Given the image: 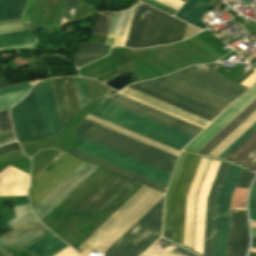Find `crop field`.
I'll return each mask as SVG.
<instances>
[{"instance_id": "obj_1", "label": "crop field", "mask_w": 256, "mask_h": 256, "mask_svg": "<svg viewBox=\"0 0 256 256\" xmlns=\"http://www.w3.org/2000/svg\"><path fill=\"white\" fill-rule=\"evenodd\" d=\"M139 187L99 168L42 223L75 248Z\"/></svg>"}, {"instance_id": "obj_2", "label": "crop field", "mask_w": 256, "mask_h": 256, "mask_svg": "<svg viewBox=\"0 0 256 256\" xmlns=\"http://www.w3.org/2000/svg\"><path fill=\"white\" fill-rule=\"evenodd\" d=\"M164 195L141 187L79 247L105 252ZM164 197L133 225L104 256H139L161 235Z\"/></svg>"}, {"instance_id": "obj_3", "label": "crop field", "mask_w": 256, "mask_h": 256, "mask_svg": "<svg viewBox=\"0 0 256 256\" xmlns=\"http://www.w3.org/2000/svg\"><path fill=\"white\" fill-rule=\"evenodd\" d=\"M105 101L115 104L119 107L147 117L151 120L179 130L183 133L195 137L202 129L166 115L155 109L123 97L119 94L105 99ZM102 101L92 112L96 116L149 136L162 143L177 149L183 147L193 139V137L183 134L179 131L151 121L147 118L119 108L115 105Z\"/></svg>"}, {"instance_id": "obj_4", "label": "crop field", "mask_w": 256, "mask_h": 256, "mask_svg": "<svg viewBox=\"0 0 256 256\" xmlns=\"http://www.w3.org/2000/svg\"><path fill=\"white\" fill-rule=\"evenodd\" d=\"M74 134L172 173L177 156L84 119Z\"/></svg>"}, {"instance_id": "obj_5", "label": "crop field", "mask_w": 256, "mask_h": 256, "mask_svg": "<svg viewBox=\"0 0 256 256\" xmlns=\"http://www.w3.org/2000/svg\"><path fill=\"white\" fill-rule=\"evenodd\" d=\"M186 25L172 16L139 2L136 5L125 46L146 48L180 41L183 39Z\"/></svg>"}, {"instance_id": "obj_6", "label": "crop field", "mask_w": 256, "mask_h": 256, "mask_svg": "<svg viewBox=\"0 0 256 256\" xmlns=\"http://www.w3.org/2000/svg\"><path fill=\"white\" fill-rule=\"evenodd\" d=\"M201 156L184 152L168 192L165 228L172 229L171 239L182 244L186 194Z\"/></svg>"}, {"instance_id": "obj_7", "label": "crop field", "mask_w": 256, "mask_h": 256, "mask_svg": "<svg viewBox=\"0 0 256 256\" xmlns=\"http://www.w3.org/2000/svg\"><path fill=\"white\" fill-rule=\"evenodd\" d=\"M255 96L256 85L253 86L242 98H240L230 109H228L217 121H215L186 149L195 151L197 148H199ZM255 110L256 97L253 98L242 110H240L230 121H228L217 133H215L195 152L208 154Z\"/></svg>"}, {"instance_id": "obj_8", "label": "crop field", "mask_w": 256, "mask_h": 256, "mask_svg": "<svg viewBox=\"0 0 256 256\" xmlns=\"http://www.w3.org/2000/svg\"><path fill=\"white\" fill-rule=\"evenodd\" d=\"M82 161L60 152L31 179L28 195L34 209L46 198Z\"/></svg>"}, {"instance_id": "obj_9", "label": "crop field", "mask_w": 256, "mask_h": 256, "mask_svg": "<svg viewBox=\"0 0 256 256\" xmlns=\"http://www.w3.org/2000/svg\"><path fill=\"white\" fill-rule=\"evenodd\" d=\"M75 149L167 186L172 175L81 138Z\"/></svg>"}, {"instance_id": "obj_10", "label": "crop field", "mask_w": 256, "mask_h": 256, "mask_svg": "<svg viewBox=\"0 0 256 256\" xmlns=\"http://www.w3.org/2000/svg\"><path fill=\"white\" fill-rule=\"evenodd\" d=\"M11 111L20 141L47 137L34 87Z\"/></svg>"}, {"instance_id": "obj_11", "label": "crop field", "mask_w": 256, "mask_h": 256, "mask_svg": "<svg viewBox=\"0 0 256 256\" xmlns=\"http://www.w3.org/2000/svg\"><path fill=\"white\" fill-rule=\"evenodd\" d=\"M170 75L223 96L232 101L237 99L248 88L238 85L230 80H226L222 78L221 75L204 69L200 66H191Z\"/></svg>"}, {"instance_id": "obj_12", "label": "crop field", "mask_w": 256, "mask_h": 256, "mask_svg": "<svg viewBox=\"0 0 256 256\" xmlns=\"http://www.w3.org/2000/svg\"><path fill=\"white\" fill-rule=\"evenodd\" d=\"M241 169V167L230 164L225 181L218 197L213 256H226L230 198Z\"/></svg>"}, {"instance_id": "obj_13", "label": "crop field", "mask_w": 256, "mask_h": 256, "mask_svg": "<svg viewBox=\"0 0 256 256\" xmlns=\"http://www.w3.org/2000/svg\"><path fill=\"white\" fill-rule=\"evenodd\" d=\"M129 87L134 88L143 93H146L155 98H158L167 103H170L179 108H182L186 111L194 113L198 116L206 118L210 121H212L216 116H218L221 113V111L219 110L206 106L202 103H199L197 101L184 97L180 94H177L175 92L162 88L148 81L133 84V85H130Z\"/></svg>"}, {"instance_id": "obj_14", "label": "crop field", "mask_w": 256, "mask_h": 256, "mask_svg": "<svg viewBox=\"0 0 256 256\" xmlns=\"http://www.w3.org/2000/svg\"><path fill=\"white\" fill-rule=\"evenodd\" d=\"M96 169L97 167L83 162L46 199H44L33 210L34 214L41 221L55 207H57L70 193H72L88 176H90Z\"/></svg>"}, {"instance_id": "obj_15", "label": "crop field", "mask_w": 256, "mask_h": 256, "mask_svg": "<svg viewBox=\"0 0 256 256\" xmlns=\"http://www.w3.org/2000/svg\"><path fill=\"white\" fill-rule=\"evenodd\" d=\"M150 82H153L162 87H165L167 89H170L172 91L185 95L189 98H192L194 100L207 104L221 111H223L232 103V101L230 100H227L218 95H215L213 93L200 89L196 86H193L191 84L178 80L169 75L151 80Z\"/></svg>"}, {"instance_id": "obj_16", "label": "crop field", "mask_w": 256, "mask_h": 256, "mask_svg": "<svg viewBox=\"0 0 256 256\" xmlns=\"http://www.w3.org/2000/svg\"><path fill=\"white\" fill-rule=\"evenodd\" d=\"M47 135L57 134L62 128V122L58 111L51 80L47 79L35 85Z\"/></svg>"}, {"instance_id": "obj_17", "label": "crop field", "mask_w": 256, "mask_h": 256, "mask_svg": "<svg viewBox=\"0 0 256 256\" xmlns=\"http://www.w3.org/2000/svg\"><path fill=\"white\" fill-rule=\"evenodd\" d=\"M248 244L245 210L230 209L227 256H244Z\"/></svg>"}, {"instance_id": "obj_18", "label": "crop field", "mask_w": 256, "mask_h": 256, "mask_svg": "<svg viewBox=\"0 0 256 256\" xmlns=\"http://www.w3.org/2000/svg\"><path fill=\"white\" fill-rule=\"evenodd\" d=\"M229 164L230 163L228 162H224V161L222 162L217 178L215 180L214 186L212 188L211 194L209 196L204 256L213 255L217 197L220 192Z\"/></svg>"}, {"instance_id": "obj_19", "label": "crop field", "mask_w": 256, "mask_h": 256, "mask_svg": "<svg viewBox=\"0 0 256 256\" xmlns=\"http://www.w3.org/2000/svg\"><path fill=\"white\" fill-rule=\"evenodd\" d=\"M119 94H121L123 96H126L128 98H131V99H133L135 101H138L140 103H143V104H145L147 106H150L152 108H155V109H157L159 111H162V112H164L166 114H169L171 116H174V117H176L178 119L186 121V122H188L190 124H193L195 126L203 128V129L210 124V122H208V121H205V120H203L201 118H198V117L193 116L191 114H188V113H186L184 111H181L179 109L171 107V106H169L167 104H164L162 102L154 100V99H152L150 97H147L145 95L137 93V92H135L133 90H130L128 88L124 89Z\"/></svg>"}, {"instance_id": "obj_20", "label": "crop field", "mask_w": 256, "mask_h": 256, "mask_svg": "<svg viewBox=\"0 0 256 256\" xmlns=\"http://www.w3.org/2000/svg\"><path fill=\"white\" fill-rule=\"evenodd\" d=\"M254 122H256V111L249 116L239 127H237L227 138H225L209 155L217 157L223 152L232 142H234L243 132H245ZM254 131H256V123L253 124L245 133H243L234 143H232L218 157L226 158L232 153L242 142H244Z\"/></svg>"}, {"instance_id": "obj_21", "label": "crop field", "mask_w": 256, "mask_h": 256, "mask_svg": "<svg viewBox=\"0 0 256 256\" xmlns=\"http://www.w3.org/2000/svg\"><path fill=\"white\" fill-rule=\"evenodd\" d=\"M16 218L6 223L14 230L0 237V246L38 222L29 205L14 206Z\"/></svg>"}, {"instance_id": "obj_22", "label": "crop field", "mask_w": 256, "mask_h": 256, "mask_svg": "<svg viewBox=\"0 0 256 256\" xmlns=\"http://www.w3.org/2000/svg\"><path fill=\"white\" fill-rule=\"evenodd\" d=\"M43 226L39 222L36 223L0 248L13 256L16 255L23 248L50 232Z\"/></svg>"}, {"instance_id": "obj_23", "label": "crop field", "mask_w": 256, "mask_h": 256, "mask_svg": "<svg viewBox=\"0 0 256 256\" xmlns=\"http://www.w3.org/2000/svg\"><path fill=\"white\" fill-rule=\"evenodd\" d=\"M135 5L127 10L114 12L109 34L115 36L113 46H124Z\"/></svg>"}, {"instance_id": "obj_24", "label": "crop field", "mask_w": 256, "mask_h": 256, "mask_svg": "<svg viewBox=\"0 0 256 256\" xmlns=\"http://www.w3.org/2000/svg\"><path fill=\"white\" fill-rule=\"evenodd\" d=\"M226 159L233 160L237 163L256 170V132H254Z\"/></svg>"}, {"instance_id": "obj_25", "label": "crop field", "mask_w": 256, "mask_h": 256, "mask_svg": "<svg viewBox=\"0 0 256 256\" xmlns=\"http://www.w3.org/2000/svg\"><path fill=\"white\" fill-rule=\"evenodd\" d=\"M66 245L51 232L25 249L33 256H52L65 248Z\"/></svg>"}, {"instance_id": "obj_26", "label": "crop field", "mask_w": 256, "mask_h": 256, "mask_svg": "<svg viewBox=\"0 0 256 256\" xmlns=\"http://www.w3.org/2000/svg\"><path fill=\"white\" fill-rule=\"evenodd\" d=\"M205 1L206 0H189L184 8L179 12L177 17L201 29H206L207 26L200 18L212 7V5L206 3Z\"/></svg>"}, {"instance_id": "obj_27", "label": "crop field", "mask_w": 256, "mask_h": 256, "mask_svg": "<svg viewBox=\"0 0 256 256\" xmlns=\"http://www.w3.org/2000/svg\"><path fill=\"white\" fill-rule=\"evenodd\" d=\"M109 47L105 44L81 43L76 54H74V62L77 67L87 64L91 61L106 56Z\"/></svg>"}, {"instance_id": "obj_28", "label": "crop field", "mask_w": 256, "mask_h": 256, "mask_svg": "<svg viewBox=\"0 0 256 256\" xmlns=\"http://www.w3.org/2000/svg\"><path fill=\"white\" fill-rule=\"evenodd\" d=\"M71 154L76 155V156H78V157H80V158H83V159H85V160H88V161H90V162H93V163H95V164H97V165H100V166H102V167H105V168H107V169H109V170H112V171H114V172H117V173H119V174H122V175H124V176H126V177H129V178H131V179H134V180H136V181H139V182H141V183H143V184H146V185H148V186H151V187H153V188H155V189H158V190H160V191H162L163 188H164V186H162V185H159V184H157V183H155V182H152V181L147 180V179H145V178H142V177H140V176H138V175H135V174H133V173H130V172L126 171V170H123V169L118 168V167H116V166H113V165H111V164H109V163H106V162H104V161H101V160H99V159H96V158H94V157H92V156H89V155H87V154H84V153H82V152H80V151H77V150H75V149L72 150Z\"/></svg>"}, {"instance_id": "obj_29", "label": "crop field", "mask_w": 256, "mask_h": 256, "mask_svg": "<svg viewBox=\"0 0 256 256\" xmlns=\"http://www.w3.org/2000/svg\"><path fill=\"white\" fill-rule=\"evenodd\" d=\"M86 119L91 120V121H93V122H96V123H98V124H101V125H103V126H106V127L110 128V129H113V130L118 131V132H120V133H123V134H125V135H128V136H130V137H133V138H135V139H138V140H140V141H143V142H145V143H148V144H150V145H153V146H155V147H157V148H160V149H162V150H165V151L170 152V153H172V154H175V155H177V156H178L179 153H180V152L177 151V150H174V149H172V148H170V147H167V146H165V145H162V144H160V143H157V142H155V141H153V140H150V139H148V138H145V137H143V136H141V135H138V134H136V133H133V132H131V131H128V130H126V129H124V128H121V127H119V126H116V125H114V124H111V123H109V122H107V121H104V120H102V119H99V118H97V117H95V116H92V115H90V114L87 115Z\"/></svg>"}, {"instance_id": "obj_30", "label": "crop field", "mask_w": 256, "mask_h": 256, "mask_svg": "<svg viewBox=\"0 0 256 256\" xmlns=\"http://www.w3.org/2000/svg\"><path fill=\"white\" fill-rule=\"evenodd\" d=\"M26 0H0V21L22 17Z\"/></svg>"}, {"instance_id": "obj_31", "label": "crop field", "mask_w": 256, "mask_h": 256, "mask_svg": "<svg viewBox=\"0 0 256 256\" xmlns=\"http://www.w3.org/2000/svg\"><path fill=\"white\" fill-rule=\"evenodd\" d=\"M36 42L30 30L0 35V47Z\"/></svg>"}, {"instance_id": "obj_32", "label": "crop field", "mask_w": 256, "mask_h": 256, "mask_svg": "<svg viewBox=\"0 0 256 256\" xmlns=\"http://www.w3.org/2000/svg\"><path fill=\"white\" fill-rule=\"evenodd\" d=\"M54 88L56 91L58 103L60 106L61 114L63 117L64 125L65 123L72 118L63 79L62 78H57V79H52Z\"/></svg>"}, {"instance_id": "obj_33", "label": "crop field", "mask_w": 256, "mask_h": 256, "mask_svg": "<svg viewBox=\"0 0 256 256\" xmlns=\"http://www.w3.org/2000/svg\"><path fill=\"white\" fill-rule=\"evenodd\" d=\"M72 79L76 91L79 108L81 109L89 101H91L87 81L85 78L81 77H72Z\"/></svg>"}, {"instance_id": "obj_34", "label": "crop field", "mask_w": 256, "mask_h": 256, "mask_svg": "<svg viewBox=\"0 0 256 256\" xmlns=\"http://www.w3.org/2000/svg\"><path fill=\"white\" fill-rule=\"evenodd\" d=\"M113 12H99L92 33L107 36Z\"/></svg>"}, {"instance_id": "obj_35", "label": "crop field", "mask_w": 256, "mask_h": 256, "mask_svg": "<svg viewBox=\"0 0 256 256\" xmlns=\"http://www.w3.org/2000/svg\"><path fill=\"white\" fill-rule=\"evenodd\" d=\"M154 245L176 255V256H196L166 240L160 238Z\"/></svg>"}, {"instance_id": "obj_36", "label": "crop field", "mask_w": 256, "mask_h": 256, "mask_svg": "<svg viewBox=\"0 0 256 256\" xmlns=\"http://www.w3.org/2000/svg\"><path fill=\"white\" fill-rule=\"evenodd\" d=\"M28 29L21 19L0 22V33L20 31Z\"/></svg>"}, {"instance_id": "obj_37", "label": "crop field", "mask_w": 256, "mask_h": 256, "mask_svg": "<svg viewBox=\"0 0 256 256\" xmlns=\"http://www.w3.org/2000/svg\"><path fill=\"white\" fill-rule=\"evenodd\" d=\"M76 4H77V0H68L67 1V5H66V8H65L60 26L64 25L67 22H70L72 20Z\"/></svg>"}, {"instance_id": "obj_38", "label": "crop field", "mask_w": 256, "mask_h": 256, "mask_svg": "<svg viewBox=\"0 0 256 256\" xmlns=\"http://www.w3.org/2000/svg\"><path fill=\"white\" fill-rule=\"evenodd\" d=\"M13 129L10 117L9 109L0 111V132Z\"/></svg>"}, {"instance_id": "obj_39", "label": "crop field", "mask_w": 256, "mask_h": 256, "mask_svg": "<svg viewBox=\"0 0 256 256\" xmlns=\"http://www.w3.org/2000/svg\"><path fill=\"white\" fill-rule=\"evenodd\" d=\"M253 176L254 173L243 168L236 187L248 188Z\"/></svg>"}, {"instance_id": "obj_40", "label": "crop field", "mask_w": 256, "mask_h": 256, "mask_svg": "<svg viewBox=\"0 0 256 256\" xmlns=\"http://www.w3.org/2000/svg\"><path fill=\"white\" fill-rule=\"evenodd\" d=\"M249 209L251 220L256 221V181L252 187L250 198H249Z\"/></svg>"}, {"instance_id": "obj_41", "label": "crop field", "mask_w": 256, "mask_h": 256, "mask_svg": "<svg viewBox=\"0 0 256 256\" xmlns=\"http://www.w3.org/2000/svg\"><path fill=\"white\" fill-rule=\"evenodd\" d=\"M28 88H31L28 83L20 84V85H16V86H13V87L1 89L0 90V95L8 94V93L28 89Z\"/></svg>"}, {"instance_id": "obj_42", "label": "crop field", "mask_w": 256, "mask_h": 256, "mask_svg": "<svg viewBox=\"0 0 256 256\" xmlns=\"http://www.w3.org/2000/svg\"><path fill=\"white\" fill-rule=\"evenodd\" d=\"M19 150H20V148H19L17 142L10 143V144L4 145V146H0V155L5 154V153L19 151Z\"/></svg>"}, {"instance_id": "obj_43", "label": "crop field", "mask_w": 256, "mask_h": 256, "mask_svg": "<svg viewBox=\"0 0 256 256\" xmlns=\"http://www.w3.org/2000/svg\"><path fill=\"white\" fill-rule=\"evenodd\" d=\"M16 139L13 130L0 133V143Z\"/></svg>"}, {"instance_id": "obj_44", "label": "crop field", "mask_w": 256, "mask_h": 256, "mask_svg": "<svg viewBox=\"0 0 256 256\" xmlns=\"http://www.w3.org/2000/svg\"><path fill=\"white\" fill-rule=\"evenodd\" d=\"M156 1H159V2H161V3H163V4L168 5V6H170V7H172V8H174V9L177 10V8H179V7L183 4V2H185L186 0H181V1H183V2H181V1H179V0H162V1L166 2V3H169V4H171V5L175 6V7H177V8H175V7H173V6L169 5V4H166V3H164V2H162V1H160V0H156Z\"/></svg>"}, {"instance_id": "obj_45", "label": "crop field", "mask_w": 256, "mask_h": 256, "mask_svg": "<svg viewBox=\"0 0 256 256\" xmlns=\"http://www.w3.org/2000/svg\"><path fill=\"white\" fill-rule=\"evenodd\" d=\"M145 1H147L149 3H152V4L158 6V7L162 8V9H165V10H167V11L173 13V14L176 12V10H174V9L168 7V6H165V5H163V4L159 3V2H156L154 0H145Z\"/></svg>"}, {"instance_id": "obj_46", "label": "crop field", "mask_w": 256, "mask_h": 256, "mask_svg": "<svg viewBox=\"0 0 256 256\" xmlns=\"http://www.w3.org/2000/svg\"><path fill=\"white\" fill-rule=\"evenodd\" d=\"M5 86H8L7 82L5 81L2 73L0 72V88L1 87H5Z\"/></svg>"}, {"instance_id": "obj_47", "label": "crop field", "mask_w": 256, "mask_h": 256, "mask_svg": "<svg viewBox=\"0 0 256 256\" xmlns=\"http://www.w3.org/2000/svg\"><path fill=\"white\" fill-rule=\"evenodd\" d=\"M244 3L251 4L252 0H243Z\"/></svg>"}, {"instance_id": "obj_48", "label": "crop field", "mask_w": 256, "mask_h": 256, "mask_svg": "<svg viewBox=\"0 0 256 256\" xmlns=\"http://www.w3.org/2000/svg\"><path fill=\"white\" fill-rule=\"evenodd\" d=\"M251 227L256 228V223L251 222Z\"/></svg>"}, {"instance_id": "obj_49", "label": "crop field", "mask_w": 256, "mask_h": 256, "mask_svg": "<svg viewBox=\"0 0 256 256\" xmlns=\"http://www.w3.org/2000/svg\"><path fill=\"white\" fill-rule=\"evenodd\" d=\"M248 256H256V253L250 252Z\"/></svg>"}, {"instance_id": "obj_50", "label": "crop field", "mask_w": 256, "mask_h": 256, "mask_svg": "<svg viewBox=\"0 0 256 256\" xmlns=\"http://www.w3.org/2000/svg\"><path fill=\"white\" fill-rule=\"evenodd\" d=\"M252 242L256 243V238L252 237Z\"/></svg>"}, {"instance_id": "obj_51", "label": "crop field", "mask_w": 256, "mask_h": 256, "mask_svg": "<svg viewBox=\"0 0 256 256\" xmlns=\"http://www.w3.org/2000/svg\"><path fill=\"white\" fill-rule=\"evenodd\" d=\"M0 256H8V255L0 252Z\"/></svg>"}, {"instance_id": "obj_52", "label": "crop field", "mask_w": 256, "mask_h": 256, "mask_svg": "<svg viewBox=\"0 0 256 256\" xmlns=\"http://www.w3.org/2000/svg\"><path fill=\"white\" fill-rule=\"evenodd\" d=\"M250 251H252V252H256V249L251 248V249H250Z\"/></svg>"}, {"instance_id": "obj_53", "label": "crop field", "mask_w": 256, "mask_h": 256, "mask_svg": "<svg viewBox=\"0 0 256 256\" xmlns=\"http://www.w3.org/2000/svg\"><path fill=\"white\" fill-rule=\"evenodd\" d=\"M252 247H253V248H256V244L252 243Z\"/></svg>"}, {"instance_id": "obj_54", "label": "crop field", "mask_w": 256, "mask_h": 256, "mask_svg": "<svg viewBox=\"0 0 256 256\" xmlns=\"http://www.w3.org/2000/svg\"><path fill=\"white\" fill-rule=\"evenodd\" d=\"M204 157V156H203ZM206 158H208V157H206ZM209 159H212V158H209ZM214 160H216V159H214ZM218 161H220V160H218ZM195 252V251H194ZM197 253V252H196Z\"/></svg>"}, {"instance_id": "obj_55", "label": "crop field", "mask_w": 256, "mask_h": 256, "mask_svg": "<svg viewBox=\"0 0 256 256\" xmlns=\"http://www.w3.org/2000/svg\"><path fill=\"white\" fill-rule=\"evenodd\" d=\"M251 229H253V228H251ZM254 230H256V229H254Z\"/></svg>"}]
</instances>
